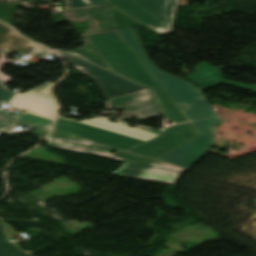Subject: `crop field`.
Wrapping results in <instances>:
<instances>
[{"label": "crop field", "instance_id": "obj_5", "mask_svg": "<svg viewBox=\"0 0 256 256\" xmlns=\"http://www.w3.org/2000/svg\"><path fill=\"white\" fill-rule=\"evenodd\" d=\"M45 141H47V146L49 147L60 148V149L81 152V153H86L91 155H97V156H102V157H107L112 159H118V160L128 161V162H132V163H136L144 166L170 170V171H175L180 173H183L186 170V168L171 165L168 163L157 161L152 158L129 153V152L119 150L113 147H109L100 143H96L90 140L56 132L53 130L45 139ZM112 149L116 150L114 154H110V151Z\"/></svg>", "mask_w": 256, "mask_h": 256}, {"label": "crop field", "instance_id": "obj_23", "mask_svg": "<svg viewBox=\"0 0 256 256\" xmlns=\"http://www.w3.org/2000/svg\"><path fill=\"white\" fill-rule=\"evenodd\" d=\"M137 128H140V129H143V130H146V131H149V132H152V133L158 134V135H159V132H160V130H150V129L141 128V127H137Z\"/></svg>", "mask_w": 256, "mask_h": 256}, {"label": "crop field", "instance_id": "obj_2", "mask_svg": "<svg viewBox=\"0 0 256 256\" xmlns=\"http://www.w3.org/2000/svg\"><path fill=\"white\" fill-rule=\"evenodd\" d=\"M54 130L90 139L123 150H130L158 135L131 128L108 119H88L80 122L59 118Z\"/></svg>", "mask_w": 256, "mask_h": 256}, {"label": "crop field", "instance_id": "obj_18", "mask_svg": "<svg viewBox=\"0 0 256 256\" xmlns=\"http://www.w3.org/2000/svg\"><path fill=\"white\" fill-rule=\"evenodd\" d=\"M50 86H52V83L48 82V83H46V84H44V85H42V86H40L36 89L30 90V91H33V92L51 97V95L49 93V87Z\"/></svg>", "mask_w": 256, "mask_h": 256}, {"label": "crop field", "instance_id": "obj_20", "mask_svg": "<svg viewBox=\"0 0 256 256\" xmlns=\"http://www.w3.org/2000/svg\"><path fill=\"white\" fill-rule=\"evenodd\" d=\"M34 54H37L38 56H46L52 54L47 49L40 47L37 51L34 52Z\"/></svg>", "mask_w": 256, "mask_h": 256}, {"label": "crop field", "instance_id": "obj_17", "mask_svg": "<svg viewBox=\"0 0 256 256\" xmlns=\"http://www.w3.org/2000/svg\"><path fill=\"white\" fill-rule=\"evenodd\" d=\"M5 84L6 83L0 82V104L1 103L8 104L9 100L15 94V92L9 91V89L7 87H5ZM3 114H5V113H3ZM6 115H9V114H6ZM9 116H13V115H9Z\"/></svg>", "mask_w": 256, "mask_h": 256}, {"label": "crop field", "instance_id": "obj_9", "mask_svg": "<svg viewBox=\"0 0 256 256\" xmlns=\"http://www.w3.org/2000/svg\"><path fill=\"white\" fill-rule=\"evenodd\" d=\"M107 108L115 109L125 106L132 112L123 114L118 120L124 121L137 117L138 121L155 115L162 114V111L153 99L149 89L130 93L127 95L107 99Z\"/></svg>", "mask_w": 256, "mask_h": 256}, {"label": "crop field", "instance_id": "obj_3", "mask_svg": "<svg viewBox=\"0 0 256 256\" xmlns=\"http://www.w3.org/2000/svg\"><path fill=\"white\" fill-rule=\"evenodd\" d=\"M0 1H27L33 3L45 4L52 0H0ZM66 5V9L63 12L64 20H70L72 22L89 21L90 27L86 32L81 35L84 39L83 47L68 51L76 56H79L85 60H88L96 65H99L107 70L110 67L98 53L96 48L90 42L86 35L113 31L114 27L113 19L107 6L92 7L87 0H63Z\"/></svg>", "mask_w": 256, "mask_h": 256}, {"label": "crop field", "instance_id": "obj_8", "mask_svg": "<svg viewBox=\"0 0 256 256\" xmlns=\"http://www.w3.org/2000/svg\"><path fill=\"white\" fill-rule=\"evenodd\" d=\"M52 50H54L62 58L66 59L78 70L93 78L98 83L106 99L146 89L130 80L76 57L62 49Z\"/></svg>", "mask_w": 256, "mask_h": 256}, {"label": "crop field", "instance_id": "obj_4", "mask_svg": "<svg viewBox=\"0 0 256 256\" xmlns=\"http://www.w3.org/2000/svg\"><path fill=\"white\" fill-rule=\"evenodd\" d=\"M183 113L200 135L157 160L190 169L198 159L208 153L215 138L211 127L220 124L221 120L207 101L200 102L196 107L189 108Z\"/></svg>", "mask_w": 256, "mask_h": 256}, {"label": "crop field", "instance_id": "obj_11", "mask_svg": "<svg viewBox=\"0 0 256 256\" xmlns=\"http://www.w3.org/2000/svg\"><path fill=\"white\" fill-rule=\"evenodd\" d=\"M11 106L19 110H27L50 118H54L57 112L54 99L30 91L24 94L17 93L11 102Z\"/></svg>", "mask_w": 256, "mask_h": 256}, {"label": "crop field", "instance_id": "obj_21", "mask_svg": "<svg viewBox=\"0 0 256 256\" xmlns=\"http://www.w3.org/2000/svg\"><path fill=\"white\" fill-rule=\"evenodd\" d=\"M202 100H204V98H203L202 94H200V95H198V96L196 97V99H195L194 102L187 103L186 105H187L188 108H189V107H193V106L197 105V104H198L200 101H202Z\"/></svg>", "mask_w": 256, "mask_h": 256}, {"label": "crop field", "instance_id": "obj_12", "mask_svg": "<svg viewBox=\"0 0 256 256\" xmlns=\"http://www.w3.org/2000/svg\"><path fill=\"white\" fill-rule=\"evenodd\" d=\"M117 174L129 175L134 177L146 178L151 180L162 181L174 184L180 177V173L164 171L144 166H139L125 162L121 167L116 170Z\"/></svg>", "mask_w": 256, "mask_h": 256}, {"label": "crop field", "instance_id": "obj_15", "mask_svg": "<svg viewBox=\"0 0 256 256\" xmlns=\"http://www.w3.org/2000/svg\"><path fill=\"white\" fill-rule=\"evenodd\" d=\"M6 241L7 238L0 223V256H28Z\"/></svg>", "mask_w": 256, "mask_h": 256}, {"label": "crop field", "instance_id": "obj_10", "mask_svg": "<svg viewBox=\"0 0 256 256\" xmlns=\"http://www.w3.org/2000/svg\"><path fill=\"white\" fill-rule=\"evenodd\" d=\"M195 136H197V134L188 123L173 125L161 130L160 136L130 150L129 152L154 158Z\"/></svg>", "mask_w": 256, "mask_h": 256}, {"label": "crop field", "instance_id": "obj_1", "mask_svg": "<svg viewBox=\"0 0 256 256\" xmlns=\"http://www.w3.org/2000/svg\"><path fill=\"white\" fill-rule=\"evenodd\" d=\"M88 38L114 72L151 88L158 104L169 120L175 123L186 121L168 96L135 58L136 56L134 57L116 31L90 35Z\"/></svg>", "mask_w": 256, "mask_h": 256}, {"label": "crop field", "instance_id": "obj_13", "mask_svg": "<svg viewBox=\"0 0 256 256\" xmlns=\"http://www.w3.org/2000/svg\"><path fill=\"white\" fill-rule=\"evenodd\" d=\"M38 45L21 38L9 26L0 22V51L30 54Z\"/></svg>", "mask_w": 256, "mask_h": 256}, {"label": "crop field", "instance_id": "obj_6", "mask_svg": "<svg viewBox=\"0 0 256 256\" xmlns=\"http://www.w3.org/2000/svg\"><path fill=\"white\" fill-rule=\"evenodd\" d=\"M178 0H107L122 11L158 33L169 32Z\"/></svg>", "mask_w": 256, "mask_h": 256}, {"label": "crop field", "instance_id": "obj_14", "mask_svg": "<svg viewBox=\"0 0 256 256\" xmlns=\"http://www.w3.org/2000/svg\"><path fill=\"white\" fill-rule=\"evenodd\" d=\"M17 124L37 128L34 131V133H36L40 137H43L49 131V128H45V127H42V126H38V125H35V124L27 123V122H24V121H20V120H17V119H13V118H10V117L0 115V132H5L9 128L14 127Z\"/></svg>", "mask_w": 256, "mask_h": 256}, {"label": "crop field", "instance_id": "obj_16", "mask_svg": "<svg viewBox=\"0 0 256 256\" xmlns=\"http://www.w3.org/2000/svg\"><path fill=\"white\" fill-rule=\"evenodd\" d=\"M15 118L20 119V120H24V121H27V122L35 123V124H38V125H42V126H45V127H49V128H51V126L53 124V120L47 119V118H44V117H40V116H36V115H33V114L23 113L22 115L17 116Z\"/></svg>", "mask_w": 256, "mask_h": 256}, {"label": "crop field", "instance_id": "obj_22", "mask_svg": "<svg viewBox=\"0 0 256 256\" xmlns=\"http://www.w3.org/2000/svg\"><path fill=\"white\" fill-rule=\"evenodd\" d=\"M93 6L105 5V2L101 0H88Z\"/></svg>", "mask_w": 256, "mask_h": 256}, {"label": "crop field", "instance_id": "obj_7", "mask_svg": "<svg viewBox=\"0 0 256 256\" xmlns=\"http://www.w3.org/2000/svg\"><path fill=\"white\" fill-rule=\"evenodd\" d=\"M119 32L176 105L194 101L195 96L200 94L191 84L153 66L131 28Z\"/></svg>", "mask_w": 256, "mask_h": 256}, {"label": "crop field", "instance_id": "obj_19", "mask_svg": "<svg viewBox=\"0 0 256 256\" xmlns=\"http://www.w3.org/2000/svg\"><path fill=\"white\" fill-rule=\"evenodd\" d=\"M3 64H5V54L0 53V68L2 67ZM9 80H10V77H8L0 72V81L8 83Z\"/></svg>", "mask_w": 256, "mask_h": 256}, {"label": "crop field", "instance_id": "obj_24", "mask_svg": "<svg viewBox=\"0 0 256 256\" xmlns=\"http://www.w3.org/2000/svg\"><path fill=\"white\" fill-rule=\"evenodd\" d=\"M104 1V0H103Z\"/></svg>", "mask_w": 256, "mask_h": 256}]
</instances>
